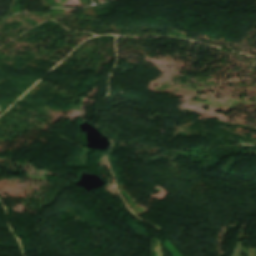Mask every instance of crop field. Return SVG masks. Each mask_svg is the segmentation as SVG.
Listing matches in <instances>:
<instances>
[{
    "label": "crop field",
    "instance_id": "1",
    "mask_svg": "<svg viewBox=\"0 0 256 256\" xmlns=\"http://www.w3.org/2000/svg\"><path fill=\"white\" fill-rule=\"evenodd\" d=\"M161 242H160V240L156 239V247H155L156 256H162V244H161Z\"/></svg>",
    "mask_w": 256,
    "mask_h": 256
}]
</instances>
